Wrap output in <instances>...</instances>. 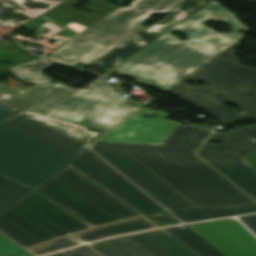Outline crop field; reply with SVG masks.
Instances as JSON below:
<instances>
[{
    "instance_id": "00972430",
    "label": "crop field",
    "mask_w": 256,
    "mask_h": 256,
    "mask_svg": "<svg viewBox=\"0 0 256 256\" xmlns=\"http://www.w3.org/2000/svg\"><path fill=\"white\" fill-rule=\"evenodd\" d=\"M165 230L179 238L203 256H225L190 227L184 229L176 227Z\"/></svg>"
},
{
    "instance_id": "ae1a2a85",
    "label": "crop field",
    "mask_w": 256,
    "mask_h": 256,
    "mask_svg": "<svg viewBox=\"0 0 256 256\" xmlns=\"http://www.w3.org/2000/svg\"><path fill=\"white\" fill-rule=\"evenodd\" d=\"M171 212L173 214H175L177 217H179L184 222L209 218L203 212H201L198 208L176 210V211H171Z\"/></svg>"
},
{
    "instance_id": "5a996713",
    "label": "crop field",
    "mask_w": 256,
    "mask_h": 256,
    "mask_svg": "<svg viewBox=\"0 0 256 256\" xmlns=\"http://www.w3.org/2000/svg\"><path fill=\"white\" fill-rule=\"evenodd\" d=\"M71 165L143 215L165 210L90 151H85Z\"/></svg>"
},
{
    "instance_id": "4a817a6b",
    "label": "crop field",
    "mask_w": 256,
    "mask_h": 256,
    "mask_svg": "<svg viewBox=\"0 0 256 256\" xmlns=\"http://www.w3.org/2000/svg\"><path fill=\"white\" fill-rule=\"evenodd\" d=\"M64 0H0V23L26 24ZM24 14H18L17 11Z\"/></svg>"
},
{
    "instance_id": "28ad6ade",
    "label": "crop field",
    "mask_w": 256,
    "mask_h": 256,
    "mask_svg": "<svg viewBox=\"0 0 256 256\" xmlns=\"http://www.w3.org/2000/svg\"><path fill=\"white\" fill-rule=\"evenodd\" d=\"M196 206H225L149 145L117 142ZM227 207V206H225Z\"/></svg>"
},
{
    "instance_id": "412701ff",
    "label": "crop field",
    "mask_w": 256,
    "mask_h": 256,
    "mask_svg": "<svg viewBox=\"0 0 256 256\" xmlns=\"http://www.w3.org/2000/svg\"><path fill=\"white\" fill-rule=\"evenodd\" d=\"M183 1L134 0L130 7L117 9L46 58L68 65L91 64L143 29L141 25L153 12L170 11Z\"/></svg>"
},
{
    "instance_id": "d32e631a",
    "label": "crop field",
    "mask_w": 256,
    "mask_h": 256,
    "mask_svg": "<svg viewBox=\"0 0 256 256\" xmlns=\"http://www.w3.org/2000/svg\"><path fill=\"white\" fill-rule=\"evenodd\" d=\"M256 233V215L241 218Z\"/></svg>"
},
{
    "instance_id": "8a807250",
    "label": "crop field",
    "mask_w": 256,
    "mask_h": 256,
    "mask_svg": "<svg viewBox=\"0 0 256 256\" xmlns=\"http://www.w3.org/2000/svg\"><path fill=\"white\" fill-rule=\"evenodd\" d=\"M98 135L26 109L0 123V172L36 188L74 161Z\"/></svg>"
},
{
    "instance_id": "4177f3b9",
    "label": "crop field",
    "mask_w": 256,
    "mask_h": 256,
    "mask_svg": "<svg viewBox=\"0 0 256 256\" xmlns=\"http://www.w3.org/2000/svg\"><path fill=\"white\" fill-rule=\"evenodd\" d=\"M33 189L0 175V213Z\"/></svg>"
},
{
    "instance_id": "92a150f3",
    "label": "crop field",
    "mask_w": 256,
    "mask_h": 256,
    "mask_svg": "<svg viewBox=\"0 0 256 256\" xmlns=\"http://www.w3.org/2000/svg\"><path fill=\"white\" fill-rule=\"evenodd\" d=\"M209 132L210 130L192 125L178 124L163 145L189 147L195 152Z\"/></svg>"
},
{
    "instance_id": "d3111659",
    "label": "crop field",
    "mask_w": 256,
    "mask_h": 256,
    "mask_svg": "<svg viewBox=\"0 0 256 256\" xmlns=\"http://www.w3.org/2000/svg\"><path fill=\"white\" fill-rule=\"evenodd\" d=\"M19 251L23 250L0 234V256H7Z\"/></svg>"
},
{
    "instance_id": "bc2a9ffb",
    "label": "crop field",
    "mask_w": 256,
    "mask_h": 256,
    "mask_svg": "<svg viewBox=\"0 0 256 256\" xmlns=\"http://www.w3.org/2000/svg\"><path fill=\"white\" fill-rule=\"evenodd\" d=\"M46 86H35L22 91L0 84V121L28 105Z\"/></svg>"
},
{
    "instance_id": "d8731c3e",
    "label": "crop field",
    "mask_w": 256,
    "mask_h": 256,
    "mask_svg": "<svg viewBox=\"0 0 256 256\" xmlns=\"http://www.w3.org/2000/svg\"><path fill=\"white\" fill-rule=\"evenodd\" d=\"M151 146L228 207L254 202V200L197 158L189 148Z\"/></svg>"
},
{
    "instance_id": "a9b5d70f",
    "label": "crop field",
    "mask_w": 256,
    "mask_h": 256,
    "mask_svg": "<svg viewBox=\"0 0 256 256\" xmlns=\"http://www.w3.org/2000/svg\"><path fill=\"white\" fill-rule=\"evenodd\" d=\"M53 64L54 63L52 62L38 58L28 64H21L19 66L11 68L9 69V71L28 83H49L50 81H52V79L44 75L42 70Z\"/></svg>"
},
{
    "instance_id": "34b2d1b8",
    "label": "crop field",
    "mask_w": 256,
    "mask_h": 256,
    "mask_svg": "<svg viewBox=\"0 0 256 256\" xmlns=\"http://www.w3.org/2000/svg\"><path fill=\"white\" fill-rule=\"evenodd\" d=\"M239 45L236 42L166 92L208 111L225 125L247 118L256 119V68L241 65L235 56V48ZM188 80L194 84L185 83ZM196 81L204 82L206 87L197 85ZM219 100L238 106L242 113L227 108ZM209 141H222V145H212ZM202 148L252 152L256 150V126L239 128L226 135L213 132Z\"/></svg>"
},
{
    "instance_id": "5866460e",
    "label": "crop field",
    "mask_w": 256,
    "mask_h": 256,
    "mask_svg": "<svg viewBox=\"0 0 256 256\" xmlns=\"http://www.w3.org/2000/svg\"><path fill=\"white\" fill-rule=\"evenodd\" d=\"M232 210L235 211L237 214L256 211V203Z\"/></svg>"
},
{
    "instance_id": "e52e79f7",
    "label": "crop field",
    "mask_w": 256,
    "mask_h": 256,
    "mask_svg": "<svg viewBox=\"0 0 256 256\" xmlns=\"http://www.w3.org/2000/svg\"><path fill=\"white\" fill-rule=\"evenodd\" d=\"M92 149L168 210L195 206L116 142L98 141Z\"/></svg>"
},
{
    "instance_id": "d1516ede",
    "label": "crop field",
    "mask_w": 256,
    "mask_h": 256,
    "mask_svg": "<svg viewBox=\"0 0 256 256\" xmlns=\"http://www.w3.org/2000/svg\"><path fill=\"white\" fill-rule=\"evenodd\" d=\"M145 113L158 115L155 118L145 119L141 116ZM167 115L168 113L143 108L108 131L99 140L162 145L178 124L164 119Z\"/></svg>"
},
{
    "instance_id": "214f88e0",
    "label": "crop field",
    "mask_w": 256,
    "mask_h": 256,
    "mask_svg": "<svg viewBox=\"0 0 256 256\" xmlns=\"http://www.w3.org/2000/svg\"><path fill=\"white\" fill-rule=\"evenodd\" d=\"M151 227H156L153 223L147 220L145 217L132 219L128 221L114 223L102 228L82 232L76 235H73L79 241H90L92 239L121 234L125 232L147 229Z\"/></svg>"
},
{
    "instance_id": "3316defc",
    "label": "crop field",
    "mask_w": 256,
    "mask_h": 256,
    "mask_svg": "<svg viewBox=\"0 0 256 256\" xmlns=\"http://www.w3.org/2000/svg\"><path fill=\"white\" fill-rule=\"evenodd\" d=\"M103 256H198L163 230L90 245Z\"/></svg>"
},
{
    "instance_id": "1d83c4d3",
    "label": "crop field",
    "mask_w": 256,
    "mask_h": 256,
    "mask_svg": "<svg viewBox=\"0 0 256 256\" xmlns=\"http://www.w3.org/2000/svg\"><path fill=\"white\" fill-rule=\"evenodd\" d=\"M68 252L71 253L73 256H101L88 246L69 250Z\"/></svg>"
},
{
    "instance_id": "120bbe31",
    "label": "crop field",
    "mask_w": 256,
    "mask_h": 256,
    "mask_svg": "<svg viewBox=\"0 0 256 256\" xmlns=\"http://www.w3.org/2000/svg\"><path fill=\"white\" fill-rule=\"evenodd\" d=\"M242 161L256 173V151L250 153L246 158L242 159Z\"/></svg>"
},
{
    "instance_id": "028f5c9d",
    "label": "crop field",
    "mask_w": 256,
    "mask_h": 256,
    "mask_svg": "<svg viewBox=\"0 0 256 256\" xmlns=\"http://www.w3.org/2000/svg\"><path fill=\"white\" fill-rule=\"evenodd\" d=\"M90 85H92L95 89H110L100 79Z\"/></svg>"
},
{
    "instance_id": "22f410ed",
    "label": "crop field",
    "mask_w": 256,
    "mask_h": 256,
    "mask_svg": "<svg viewBox=\"0 0 256 256\" xmlns=\"http://www.w3.org/2000/svg\"><path fill=\"white\" fill-rule=\"evenodd\" d=\"M209 2L211 1L186 0L171 10L170 15L164 21L153 25L146 31L141 30L91 65H118ZM117 58L121 61H117Z\"/></svg>"
},
{
    "instance_id": "5142ce71",
    "label": "crop field",
    "mask_w": 256,
    "mask_h": 256,
    "mask_svg": "<svg viewBox=\"0 0 256 256\" xmlns=\"http://www.w3.org/2000/svg\"><path fill=\"white\" fill-rule=\"evenodd\" d=\"M112 92L100 91L70 121L104 132L138 109L124 104L125 99Z\"/></svg>"
},
{
    "instance_id": "b80d0937",
    "label": "crop field",
    "mask_w": 256,
    "mask_h": 256,
    "mask_svg": "<svg viewBox=\"0 0 256 256\" xmlns=\"http://www.w3.org/2000/svg\"><path fill=\"white\" fill-rule=\"evenodd\" d=\"M118 8H119V7H118ZM116 9H117V8H116ZM116 9H115V10H116ZM113 11H114V10H113ZM113 11H111V12H113ZM111 12H110V13H111ZM110 13H108V14H110ZM108 14H107V15H108ZM107 15H105V16H107ZM105 16H103V17H105ZM103 17H102V18H103ZM102 18H101V19H102ZM99 20H100V19H99ZM96 22H97V21H96ZM94 23H95V22H94ZM94 23H92V24H94ZM92 24H91V25H92ZM91 25H89V26H91ZM89 26H88V27H89ZM88 27H86L85 29H87ZM85 29H83L82 31H84ZM82 31H80L79 33H81ZM79 33H77V34H79Z\"/></svg>"
},
{
    "instance_id": "d9b57169",
    "label": "crop field",
    "mask_w": 256,
    "mask_h": 256,
    "mask_svg": "<svg viewBox=\"0 0 256 256\" xmlns=\"http://www.w3.org/2000/svg\"><path fill=\"white\" fill-rule=\"evenodd\" d=\"M197 154L256 199V174L240 160L249 153L200 149Z\"/></svg>"
},
{
    "instance_id": "730fd06b",
    "label": "crop field",
    "mask_w": 256,
    "mask_h": 256,
    "mask_svg": "<svg viewBox=\"0 0 256 256\" xmlns=\"http://www.w3.org/2000/svg\"><path fill=\"white\" fill-rule=\"evenodd\" d=\"M99 91H81L49 112L47 115L69 121L93 98Z\"/></svg>"
},
{
    "instance_id": "e1f06a70",
    "label": "crop field",
    "mask_w": 256,
    "mask_h": 256,
    "mask_svg": "<svg viewBox=\"0 0 256 256\" xmlns=\"http://www.w3.org/2000/svg\"><path fill=\"white\" fill-rule=\"evenodd\" d=\"M12 256H31V255H29L27 252L23 251V252H20L18 254L12 255Z\"/></svg>"
},
{
    "instance_id": "dafd665d",
    "label": "crop field",
    "mask_w": 256,
    "mask_h": 256,
    "mask_svg": "<svg viewBox=\"0 0 256 256\" xmlns=\"http://www.w3.org/2000/svg\"><path fill=\"white\" fill-rule=\"evenodd\" d=\"M77 92L61 84H52L28 109L46 114Z\"/></svg>"
},
{
    "instance_id": "750c4746",
    "label": "crop field",
    "mask_w": 256,
    "mask_h": 256,
    "mask_svg": "<svg viewBox=\"0 0 256 256\" xmlns=\"http://www.w3.org/2000/svg\"><path fill=\"white\" fill-rule=\"evenodd\" d=\"M148 218H150L160 226L178 223V221L167 212L148 216Z\"/></svg>"
},
{
    "instance_id": "eef30255",
    "label": "crop field",
    "mask_w": 256,
    "mask_h": 256,
    "mask_svg": "<svg viewBox=\"0 0 256 256\" xmlns=\"http://www.w3.org/2000/svg\"><path fill=\"white\" fill-rule=\"evenodd\" d=\"M78 244H80V243H78L77 241L73 240L70 237H67V238L55 240L53 242H50V243L41 245L39 247L30 249V251L32 253H34L36 256H38V255L53 252V251H56V250L71 247V246L78 245Z\"/></svg>"
},
{
    "instance_id": "733c2abd",
    "label": "crop field",
    "mask_w": 256,
    "mask_h": 256,
    "mask_svg": "<svg viewBox=\"0 0 256 256\" xmlns=\"http://www.w3.org/2000/svg\"><path fill=\"white\" fill-rule=\"evenodd\" d=\"M80 1L81 0H68L40 17H43L77 33L117 7L108 3L107 0H90L93 5L86 7L87 9L93 11V13L86 14L71 8ZM96 16L98 17L96 18Z\"/></svg>"
},
{
    "instance_id": "cbeb9de0",
    "label": "crop field",
    "mask_w": 256,
    "mask_h": 256,
    "mask_svg": "<svg viewBox=\"0 0 256 256\" xmlns=\"http://www.w3.org/2000/svg\"><path fill=\"white\" fill-rule=\"evenodd\" d=\"M189 226L226 256H256V239L235 219Z\"/></svg>"
},
{
    "instance_id": "f4fd0767",
    "label": "crop field",
    "mask_w": 256,
    "mask_h": 256,
    "mask_svg": "<svg viewBox=\"0 0 256 256\" xmlns=\"http://www.w3.org/2000/svg\"><path fill=\"white\" fill-rule=\"evenodd\" d=\"M36 189L94 227L141 216L71 165Z\"/></svg>"
},
{
    "instance_id": "ac0d7876",
    "label": "crop field",
    "mask_w": 256,
    "mask_h": 256,
    "mask_svg": "<svg viewBox=\"0 0 256 256\" xmlns=\"http://www.w3.org/2000/svg\"><path fill=\"white\" fill-rule=\"evenodd\" d=\"M208 20H222L233 29L231 33L215 32L205 26ZM240 29L251 31L232 12L213 1L135 53L116 70L121 71L118 74L138 79V83L165 91L242 38L244 35L238 33ZM174 30L188 40L178 41L171 35ZM193 37L200 41L191 40Z\"/></svg>"
},
{
    "instance_id": "bd1437ed",
    "label": "crop field",
    "mask_w": 256,
    "mask_h": 256,
    "mask_svg": "<svg viewBox=\"0 0 256 256\" xmlns=\"http://www.w3.org/2000/svg\"><path fill=\"white\" fill-rule=\"evenodd\" d=\"M200 210H202L210 218H215V217H221V216H228V215L236 214L231 209H226V208H210V207H206V208H202Z\"/></svg>"
},
{
    "instance_id": "dd49c442",
    "label": "crop field",
    "mask_w": 256,
    "mask_h": 256,
    "mask_svg": "<svg viewBox=\"0 0 256 256\" xmlns=\"http://www.w3.org/2000/svg\"><path fill=\"white\" fill-rule=\"evenodd\" d=\"M88 229L92 228L35 190L0 214V231L26 249Z\"/></svg>"
},
{
    "instance_id": "0bd39190",
    "label": "crop field",
    "mask_w": 256,
    "mask_h": 256,
    "mask_svg": "<svg viewBox=\"0 0 256 256\" xmlns=\"http://www.w3.org/2000/svg\"><path fill=\"white\" fill-rule=\"evenodd\" d=\"M51 256H68V255L66 253L62 252V253L54 254Z\"/></svg>"
}]
</instances>
